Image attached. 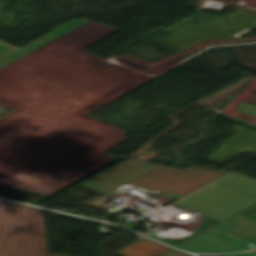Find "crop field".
<instances>
[{
	"label": "crop field",
	"mask_w": 256,
	"mask_h": 256,
	"mask_svg": "<svg viewBox=\"0 0 256 256\" xmlns=\"http://www.w3.org/2000/svg\"><path fill=\"white\" fill-rule=\"evenodd\" d=\"M102 197L88 206L102 208L106 196L158 192L157 210L141 209L159 226L145 235L172 246L256 203V180L187 166L185 170L130 158L79 184ZM137 216V217H139Z\"/></svg>",
	"instance_id": "obj_1"
},
{
	"label": "crop field",
	"mask_w": 256,
	"mask_h": 256,
	"mask_svg": "<svg viewBox=\"0 0 256 256\" xmlns=\"http://www.w3.org/2000/svg\"><path fill=\"white\" fill-rule=\"evenodd\" d=\"M177 247L182 250L192 251L196 253L240 251L251 248L210 230L196 236L195 238Z\"/></svg>",
	"instance_id": "obj_2"
},
{
	"label": "crop field",
	"mask_w": 256,
	"mask_h": 256,
	"mask_svg": "<svg viewBox=\"0 0 256 256\" xmlns=\"http://www.w3.org/2000/svg\"><path fill=\"white\" fill-rule=\"evenodd\" d=\"M87 18H80V19H73L66 24L58 27L57 29L51 31L50 34L38 39L36 42L24 46L20 49L10 46L2 41H0V68L9 64L10 62L22 57L23 55L29 53L30 51L34 50L38 46L42 45L43 43L87 22ZM46 38V40H43ZM8 109L3 108L0 106V114L7 111Z\"/></svg>",
	"instance_id": "obj_3"
},
{
	"label": "crop field",
	"mask_w": 256,
	"mask_h": 256,
	"mask_svg": "<svg viewBox=\"0 0 256 256\" xmlns=\"http://www.w3.org/2000/svg\"><path fill=\"white\" fill-rule=\"evenodd\" d=\"M210 230L251 247L256 246V223L238 215L224 221Z\"/></svg>",
	"instance_id": "obj_4"
},
{
	"label": "crop field",
	"mask_w": 256,
	"mask_h": 256,
	"mask_svg": "<svg viewBox=\"0 0 256 256\" xmlns=\"http://www.w3.org/2000/svg\"><path fill=\"white\" fill-rule=\"evenodd\" d=\"M168 248L165 245L143 237L115 253L121 256H155Z\"/></svg>",
	"instance_id": "obj_5"
},
{
	"label": "crop field",
	"mask_w": 256,
	"mask_h": 256,
	"mask_svg": "<svg viewBox=\"0 0 256 256\" xmlns=\"http://www.w3.org/2000/svg\"><path fill=\"white\" fill-rule=\"evenodd\" d=\"M238 215L243 216L245 218H248V219L256 222V206H254Z\"/></svg>",
	"instance_id": "obj_6"
},
{
	"label": "crop field",
	"mask_w": 256,
	"mask_h": 256,
	"mask_svg": "<svg viewBox=\"0 0 256 256\" xmlns=\"http://www.w3.org/2000/svg\"><path fill=\"white\" fill-rule=\"evenodd\" d=\"M159 256H188V255L184 254L182 252L176 251L174 249H171V250H169V251H167V252H165V253H163Z\"/></svg>",
	"instance_id": "obj_7"
},
{
	"label": "crop field",
	"mask_w": 256,
	"mask_h": 256,
	"mask_svg": "<svg viewBox=\"0 0 256 256\" xmlns=\"http://www.w3.org/2000/svg\"><path fill=\"white\" fill-rule=\"evenodd\" d=\"M224 256H256V251H254L252 253H248V254H228V255H224Z\"/></svg>",
	"instance_id": "obj_8"
},
{
	"label": "crop field",
	"mask_w": 256,
	"mask_h": 256,
	"mask_svg": "<svg viewBox=\"0 0 256 256\" xmlns=\"http://www.w3.org/2000/svg\"><path fill=\"white\" fill-rule=\"evenodd\" d=\"M213 256H222V255H213Z\"/></svg>",
	"instance_id": "obj_9"
}]
</instances>
